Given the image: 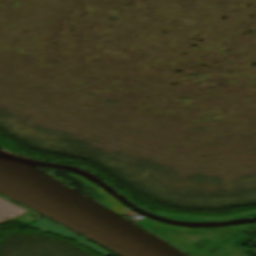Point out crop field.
I'll use <instances>...</instances> for the list:
<instances>
[{
    "label": "crop field",
    "mask_w": 256,
    "mask_h": 256,
    "mask_svg": "<svg viewBox=\"0 0 256 256\" xmlns=\"http://www.w3.org/2000/svg\"><path fill=\"white\" fill-rule=\"evenodd\" d=\"M253 229L255 230V232H256V224H253Z\"/></svg>",
    "instance_id": "5"
},
{
    "label": "crop field",
    "mask_w": 256,
    "mask_h": 256,
    "mask_svg": "<svg viewBox=\"0 0 256 256\" xmlns=\"http://www.w3.org/2000/svg\"><path fill=\"white\" fill-rule=\"evenodd\" d=\"M139 223L193 256H256L253 251L242 248L256 236L248 225L191 229L177 228L146 218Z\"/></svg>",
    "instance_id": "1"
},
{
    "label": "crop field",
    "mask_w": 256,
    "mask_h": 256,
    "mask_svg": "<svg viewBox=\"0 0 256 256\" xmlns=\"http://www.w3.org/2000/svg\"><path fill=\"white\" fill-rule=\"evenodd\" d=\"M55 174H59L69 180L72 181V183L74 184V186L79 189L81 192H83L85 195H87L89 198L95 200L90 194H88L84 189H86L89 193H91L93 196H95L100 202L101 204L110 207L116 204H119V202H117L115 199H113L110 195L105 194L104 192H102L100 190V188L96 187L95 185L85 181L84 179H82L81 177L72 174L68 171H59L56 170L54 171ZM84 189H83V188Z\"/></svg>",
    "instance_id": "2"
},
{
    "label": "crop field",
    "mask_w": 256,
    "mask_h": 256,
    "mask_svg": "<svg viewBox=\"0 0 256 256\" xmlns=\"http://www.w3.org/2000/svg\"><path fill=\"white\" fill-rule=\"evenodd\" d=\"M27 213L5 201L0 200V222L13 218L15 216Z\"/></svg>",
    "instance_id": "4"
},
{
    "label": "crop field",
    "mask_w": 256,
    "mask_h": 256,
    "mask_svg": "<svg viewBox=\"0 0 256 256\" xmlns=\"http://www.w3.org/2000/svg\"><path fill=\"white\" fill-rule=\"evenodd\" d=\"M156 216H160L170 220L176 221H185V222H215V221H228V220H236L247 218L251 216H256V211L241 214L237 216L223 217V218H206V217H192V216H178V215H168V214H154Z\"/></svg>",
    "instance_id": "3"
}]
</instances>
